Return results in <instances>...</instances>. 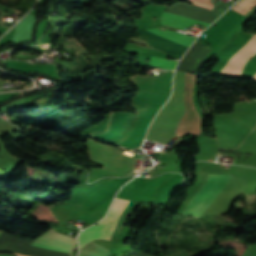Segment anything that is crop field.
I'll list each match as a JSON object with an SVG mask.
<instances>
[{"label":"crop field","instance_id":"5","mask_svg":"<svg viewBox=\"0 0 256 256\" xmlns=\"http://www.w3.org/2000/svg\"><path fill=\"white\" fill-rule=\"evenodd\" d=\"M161 23L164 25H170L180 29L188 28L194 24H202L205 26L210 25V23L202 22L199 20L191 19L188 17H184L181 15L173 14L166 11L161 16Z\"/></svg>","mask_w":256,"mask_h":256},{"label":"crop field","instance_id":"1","mask_svg":"<svg viewBox=\"0 0 256 256\" xmlns=\"http://www.w3.org/2000/svg\"><path fill=\"white\" fill-rule=\"evenodd\" d=\"M153 29L160 33L177 38L179 40L185 41L190 44L195 39L193 37L181 35L168 30L162 31L157 28H153ZM154 30H151V29L139 30V33L141 34V38H143L145 41L150 43L154 48L164 51L171 57L180 59V57L183 55V53L188 49L190 45L185 42L168 37L166 35L160 34Z\"/></svg>","mask_w":256,"mask_h":256},{"label":"crop field","instance_id":"6","mask_svg":"<svg viewBox=\"0 0 256 256\" xmlns=\"http://www.w3.org/2000/svg\"><path fill=\"white\" fill-rule=\"evenodd\" d=\"M255 5L256 0H242L234 8H232V10L245 16Z\"/></svg>","mask_w":256,"mask_h":256},{"label":"crop field","instance_id":"4","mask_svg":"<svg viewBox=\"0 0 256 256\" xmlns=\"http://www.w3.org/2000/svg\"><path fill=\"white\" fill-rule=\"evenodd\" d=\"M32 246L71 255L74 247V239L51 229L34 240Z\"/></svg>","mask_w":256,"mask_h":256},{"label":"crop field","instance_id":"2","mask_svg":"<svg viewBox=\"0 0 256 256\" xmlns=\"http://www.w3.org/2000/svg\"><path fill=\"white\" fill-rule=\"evenodd\" d=\"M229 175L209 174L206 184L190 201L184 215L199 218Z\"/></svg>","mask_w":256,"mask_h":256},{"label":"crop field","instance_id":"9","mask_svg":"<svg viewBox=\"0 0 256 256\" xmlns=\"http://www.w3.org/2000/svg\"><path fill=\"white\" fill-rule=\"evenodd\" d=\"M222 5V4H221ZM222 6H224V5H222Z\"/></svg>","mask_w":256,"mask_h":256},{"label":"crop field","instance_id":"3","mask_svg":"<svg viewBox=\"0 0 256 256\" xmlns=\"http://www.w3.org/2000/svg\"><path fill=\"white\" fill-rule=\"evenodd\" d=\"M128 203L129 201L127 200H121L116 198L109 213L101 222H99L94 227L92 226L93 228L90 227L91 229L88 228L90 230L86 229L79 234L80 236L88 230L86 233L78 237L79 248H82L91 240L98 238L105 239V237L107 236V234L109 233V231L111 230V228L113 227Z\"/></svg>","mask_w":256,"mask_h":256},{"label":"crop field","instance_id":"8","mask_svg":"<svg viewBox=\"0 0 256 256\" xmlns=\"http://www.w3.org/2000/svg\"><path fill=\"white\" fill-rule=\"evenodd\" d=\"M190 1H192L195 6H199V7L211 10V11L213 10V8L215 6L214 4H212L210 2V0H190Z\"/></svg>","mask_w":256,"mask_h":256},{"label":"crop field","instance_id":"7","mask_svg":"<svg viewBox=\"0 0 256 256\" xmlns=\"http://www.w3.org/2000/svg\"><path fill=\"white\" fill-rule=\"evenodd\" d=\"M176 64H177L176 61L165 60V59H161L154 56L152 57V60L150 63L151 66L161 67V68L171 69V70H174Z\"/></svg>","mask_w":256,"mask_h":256}]
</instances>
